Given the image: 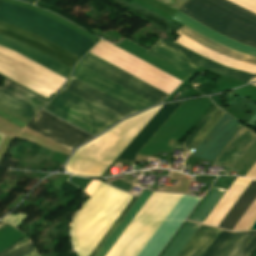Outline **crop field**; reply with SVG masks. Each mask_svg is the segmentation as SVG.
<instances>
[{"label":"crop field","instance_id":"crop-field-9","mask_svg":"<svg viewBox=\"0 0 256 256\" xmlns=\"http://www.w3.org/2000/svg\"><path fill=\"white\" fill-rule=\"evenodd\" d=\"M90 53V52H89ZM87 54L79 63L143 96L144 98L159 104L168 94L143 82L142 80L116 68L115 66L91 55Z\"/></svg>","mask_w":256,"mask_h":256},{"label":"crop field","instance_id":"crop-field-1","mask_svg":"<svg viewBox=\"0 0 256 256\" xmlns=\"http://www.w3.org/2000/svg\"><path fill=\"white\" fill-rule=\"evenodd\" d=\"M182 102L154 107L121 122L79 148L65 166L66 170L77 175L100 176L163 107L101 176L111 175V168L119 160L135 162L136 154Z\"/></svg>","mask_w":256,"mask_h":256},{"label":"crop field","instance_id":"crop-field-24","mask_svg":"<svg viewBox=\"0 0 256 256\" xmlns=\"http://www.w3.org/2000/svg\"><path fill=\"white\" fill-rule=\"evenodd\" d=\"M198 226V224L187 222L162 256H177Z\"/></svg>","mask_w":256,"mask_h":256},{"label":"crop field","instance_id":"crop-field-26","mask_svg":"<svg viewBox=\"0 0 256 256\" xmlns=\"http://www.w3.org/2000/svg\"><path fill=\"white\" fill-rule=\"evenodd\" d=\"M136 197H133L132 200L129 202V204L126 206V208L123 210V212L120 214V216L117 218V220L114 222V224L111 226V228L107 231V233L104 235V237L101 239V241L98 243V245L95 247V249L92 251V253L89 256H94L97 251L100 249V247L103 245V243L106 241V239L109 237V235L112 233V231L115 229V227L118 225V223L121 221V219L124 217V215L127 213V211L130 209V207L133 205V203L136 201Z\"/></svg>","mask_w":256,"mask_h":256},{"label":"crop field","instance_id":"crop-field-17","mask_svg":"<svg viewBox=\"0 0 256 256\" xmlns=\"http://www.w3.org/2000/svg\"><path fill=\"white\" fill-rule=\"evenodd\" d=\"M171 18L183 23L184 25L194 29L195 31L231 48L234 50H237L242 53L250 54L253 56H256V48L248 47L243 44H240L236 41H233L227 37H224L205 26L199 24L198 22L194 21L193 19L185 16L184 14L177 12L175 15H173Z\"/></svg>","mask_w":256,"mask_h":256},{"label":"crop field","instance_id":"crop-field-3","mask_svg":"<svg viewBox=\"0 0 256 256\" xmlns=\"http://www.w3.org/2000/svg\"><path fill=\"white\" fill-rule=\"evenodd\" d=\"M84 192L90 198L79 209L71 229L79 256L91 253L133 196L98 180H92Z\"/></svg>","mask_w":256,"mask_h":256},{"label":"crop field","instance_id":"crop-field-22","mask_svg":"<svg viewBox=\"0 0 256 256\" xmlns=\"http://www.w3.org/2000/svg\"><path fill=\"white\" fill-rule=\"evenodd\" d=\"M225 112L213 106L204 119L194 129L190 136L185 140L184 144L197 148L205 136L210 132L218 120Z\"/></svg>","mask_w":256,"mask_h":256},{"label":"crop field","instance_id":"crop-field-21","mask_svg":"<svg viewBox=\"0 0 256 256\" xmlns=\"http://www.w3.org/2000/svg\"><path fill=\"white\" fill-rule=\"evenodd\" d=\"M177 32L219 52V53H222L224 55H227L229 57H232L234 59H237V60H241V61H244V62H247V63H251V64H254L256 65V57H253V56H250V55H246V54H242V53H239L237 51H234V50H231L229 48H226L210 39H208L207 37L195 32L194 30L186 27V26H182Z\"/></svg>","mask_w":256,"mask_h":256},{"label":"crop field","instance_id":"crop-field-23","mask_svg":"<svg viewBox=\"0 0 256 256\" xmlns=\"http://www.w3.org/2000/svg\"><path fill=\"white\" fill-rule=\"evenodd\" d=\"M225 192L226 190L213 187L206 199L191 216L190 220L203 223Z\"/></svg>","mask_w":256,"mask_h":256},{"label":"crop field","instance_id":"crop-field-29","mask_svg":"<svg viewBox=\"0 0 256 256\" xmlns=\"http://www.w3.org/2000/svg\"><path fill=\"white\" fill-rule=\"evenodd\" d=\"M1 223H2V222H0V224H1ZM5 225H7V224H5V223L1 224V225H0V228L3 227V226H5Z\"/></svg>","mask_w":256,"mask_h":256},{"label":"crop field","instance_id":"crop-field-18","mask_svg":"<svg viewBox=\"0 0 256 256\" xmlns=\"http://www.w3.org/2000/svg\"><path fill=\"white\" fill-rule=\"evenodd\" d=\"M256 198V181L252 180L232 208L228 211L218 227L232 230L253 200Z\"/></svg>","mask_w":256,"mask_h":256},{"label":"crop field","instance_id":"crop-field-10","mask_svg":"<svg viewBox=\"0 0 256 256\" xmlns=\"http://www.w3.org/2000/svg\"><path fill=\"white\" fill-rule=\"evenodd\" d=\"M72 76L84 81L85 83L97 88L98 90L112 96L113 98L138 111L153 105V103L143 99L142 97L130 92L129 90L117 85L116 83L106 79L105 77L80 64Z\"/></svg>","mask_w":256,"mask_h":256},{"label":"crop field","instance_id":"crop-field-6","mask_svg":"<svg viewBox=\"0 0 256 256\" xmlns=\"http://www.w3.org/2000/svg\"><path fill=\"white\" fill-rule=\"evenodd\" d=\"M44 110L93 135L119 121L63 90L44 107Z\"/></svg>","mask_w":256,"mask_h":256},{"label":"crop field","instance_id":"crop-field-27","mask_svg":"<svg viewBox=\"0 0 256 256\" xmlns=\"http://www.w3.org/2000/svg\"><path fill=\"white\" fill-rule=\"evenodd\" d=\"M0 109L5 111V112H7V113H9V114H11V115H13L14 117H16V118H18V119H20V120H22V121H24L26 123L32 119V118H30V117L20 113L19 111H17L15 109L5 105L2 102H0Z\"/></svg>","mask_w":256,"mask_h":256},{"label":"crop field","instance_id":"crop-field-14","mask_svg":"<svg viewBox=\"0 0 256 256\" xmlns=\"http://www.w3.org/2000/svg\"><path fill=\"white\" fill-rule=\"evenodd\" d=\"M0 101L32 118L48 102L8 80L0 87Z\"/></svg>","mask_w":256,"mask_h":256},{"label":"crop field","instance_id":"crop-field-16","mask_svg":"<svg viewBox=\"0 0 256 256\" xmlns=\"http://www.w3.org/2000/svg\"><path fill=\"white\" fill-rule=\"evenodd\" d=\"M255 140L256 133L243 126L215 162L233 167Z\"/></svg>","mask_w":256,"mask_h":256},{"label":"crop field","instance_id":"crop-field-5","mask_svg":"<svg viewBox=\"0 0 256 256\" xmlns=\"http://www.w3.org/2000/svg\"><path fill=\"white\" fill-rule=\"evenodd\" d=\"M181 197L153 192L107 256H137Z\"/></svg>","mask_w":256,"mask_h":256},{"label":"crop field","instance_id":"crop-field-8","mask_svg":"<svg viewBox=\"0 0 256 256\" xmlns=\"http://www.w3.org/2000/svg\"><path fill=\"white\" fill-rule=\"evenodd\" d=\"M28 128L57 142L58 144L74 150L77 146L88 141L92 136L67 124L55 116L41 110L28 124Z\"/></svg>","mask_w":256,"mask_h":256},{"label":"crop field","instance_id":"crop-field-7","mask_svg":"<svg viewBox=\"0 0 256 256\" xmlns=\"http://www.w3.org/2000/svg\"><path fill=\"white\" fill-rule=\"evenodd\" d=\"M175 42V41H174ZM167 44L162 39L148 51L180 67L181 69L193 73L200 66L221 76L247 82L253 74L238 71L212 62L176 43Z\"/></svg>","mask_w":256,"mask_h":256},{"label":"crop field","instance_id":"crop-field-2","mask_svg":"<svg viewBox=\"0 0 256 256\" xmlns=\"http://www.w3.org/2000/svg\"><path fill=\"white\" fill-rule=\"evenodd\" d=\"M0 21L32 31L79 58L95 43L48 17L1 1ZM4 22H0V34L22 41L71 68L79 59L32 32Z\"/></svg>","mask_w":256,"mask_h":256},{"label":"crop field","instance_id":"crop-field-13","mask_svg":"<svg viewBox=\"0 0 256 256\" xmlns=\"http://www.w3.org/2000/svg\"><path fill=\"white\" fill-rule=\"evenodd\" d=\"M241 125L225 113L192 156L213 161Z\"/></svg>","mask_w":256,"mask_h":256},{"label":"crop field","instance_id":"crop-field-12","mask_svg":"<svg viewBox=\"0 0 256 256\" xmlns=\"http://www.w3.org/2000/svg\"><path fill=\"white\" fill-rule=\"evenodd\" d=\"M64 90L82 98L83 100L101 108L102 110L120 119L137 112L136 110L126 106L125 104L113 99L112 97L98 91L97 89L85 84L84 82L74 77L70 78Z\"/></svg>","mask_w":256,"mask_h":256},{"label":"crop field","instance_id":"crop-field-15","mask_svg":"<svg viewBox=\"0 0 256 256\" xmlns=\"http://www.w3.org/2000/svg\"><path fill=\"white\" fill-rule=\"evenodd\" d=\"M0 46L17 52L66 79L72 70L35 49L3 35H0Z\"/></svg>","mask_w":256,"mask_h":256},{"label":"crop field","instance_id":"crop-field-4","mask_svg":"<svg viewBox=\"0 0 256 256\" xmlns=\"http://www.w3.org/2000/svg\"><path fill=\"white\" fill-rule=\"evenodd\" d=\"M256 13V0H229ZM227 0H187L177 10L241 43L256 47V14Z\"/></svg>","mask_w":256,"mask_h":256},{"label":"crop field","instance_id":"crop-field-25","mask_svg":"<svg viewBox=\"0 0 256 256\" xmlns=\"http://www.w3.org/2000/svg\"><path fill=\"white\" fill-rule=\"evenodd\" d=\"M28 238V237H27ZM25 238V239H27ZM23 239L22 241H24ZM22 241L18 242L17 244L11 246L10 248L6 249L5 251L0 253V256H39L36 252L35 248L31 244L30 240L23 243L18 248H14L18 244H20Z\"/></svg>","mask_w":256,"mask_h":256},{"label":"crop field","instance_id":"crop-field-19","mask_svg":"<svg viewBox=\"0 0 256 256\" xmlns=\"http://www.w3.org/2000/svg\"><path fill=\"white\" fill-rule=\"evenodd\" d=\"M220 230L200 225L178 256H202Z\"/></svg>","mask_w":256,"mask_h":256},{"label":"crop field","instance_id":"crop-field-28","mask_svg":"<svg viewBox=\"0 0 256 256\" xmlns=\"http://www.w3.org/2000/svg\"><path fill=\"white\" fill-rule=\"evenodd\" d=\"M109 184H111V185H113V186H115L117 188L123 189L125 191H127L130 188V186H131V184L125 183V182L120 181V180L112 181Z\"/></svg>","mask_w":256,"mask_h":256},{"label":"crop field","instance_id":"crop-field-11","mask_svg":"<svg viewBox=\"0 0 256 256\" xmlns=\"http://www.w3.org/2000/svg\"><path fill=\"white\" fill-rule=\"evenodd\" d=\"M256 250V231H221L203 256H251Z\"/></svg>","mask_w":256,"mask_h":256},{"label":"crop field","instance_id":"crop-field-20","mask_svg":"<svg viewBox=\"0 0 256 256\" xmlns=\"http://www.w3.org/2000/svg\"><path fill=\"white\" fill-rule=\"evenodd\" d=\"M151 194V191H143V193L140 195V197L137 199V201L134 203V205L131 207V209L128 211V213L125 215V217L122 219V221L119 223V225L116 227V229L113 231V233L110 235V237L95 256H106V254L109 252L114 243L117 241V239L120 237V235L123 233V231L126 229V227L129 225V223L132 221L134 216L137 214V212L140 210V208Z\"/></svg>","mask_w":256,"mask_h":256},{"label":"crop field","instance_id":"crop-field-30","mask_svg":"<svg viewBox=\"0 0 256 256\" xmlns=\"http://www.w3.org/2000/svg\"><path fill=\"white\" fill-rule=\"evenodd\" d=\"M254 256H256V254Z\"/></svg>","mask_w":256,"mask_h":256}]
</instances>
